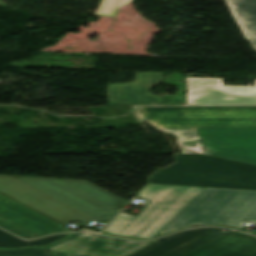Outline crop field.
Wrapping results in <instances>:
<instances>
[{
    "mask_svg": "<svg viewBox=\"0 0 256 256\" xmlns=\"http://www.w3.org/2000/svg\"><path fill=\"white\" fill-rule=\"evenodd\" d=\"M0 256H54L40 248L22 250H0Z\"/></svg>",
    "mask_w": 256,
    "mask_h": 256,
    "instance_id": "crop-field-15",
    "label": "crop field"
},
{
    "mask_svg": "<svg viewBox=\"0 0 256 256\" xmlns=\"http://www.w3.org/2000/svg\"><path fill=\"white\" fill-rule=\"evenodd\" d=\"M132 0H101L95 16L115 17L120 7Z\"/></svg>",
    "mask_w": 256,
    "mask_h": 256,
    "instance_id": "crop-field-13",
    "label": "crop field"
},
{
    "mask_svg": "<svg viewBox=\"0 0 256 256\" xmlns=\"http://www.w3.org/2000/svg\"><path fill=\"white\" fill-rule=\"evenodd\" d=\"M128 202L86 181L0 175V228L25 239L108 223Z\"/></svg>",
    "mask_w": 256,
    "mask_h": 256,
    "instance_id": "crop-field-1",
    "label": "crop field"
},
{
    "mask_svg": "<svg viewBox=\"0 0 256 256\" xmlns=\"http://www.w3.org/2000/svg\"><path fill=\"white\" fill-rule=\"evenodd\" d=\"M246 40L256 50V0H223Z\"/></svg>",
    "mask_w": 256,
    "mask_h": 256,
    "instance_id": "crop-field-10",
    "label": "crop field"
},
{
    "mask_svg": "<svg viewBox=\"0 0 256 256\" xmlns=\"http://www.w3.org/2000/svg\"><path fill=\"white\" fill-rule=\"evenodd\" d=\"M256 224V191L204 188L156 236L193 224Z\"/></svg>",
    "mask_w": 256,
    "mask_h": 256,
    "instance_id": "crop-field-3",
    "label": "crop field"
},
{
    "mask_svg": "<svg viewBox=\"0 0 256 256\" xmlns=\"http://www.w3.org/2000/svg\"><path fill=\"white\" fill-rule=\"evenodd\" d=\"M189 105H256L255 87L223 86L221 79L187 78Z\"/></svg>",
    "mask_w": 256,
    "mask_h": 256,
    "instance_id": "crop-field-8",
    "label": "crop field"
},
{
    "mask_svg": "<svg viewBox=\"0 0 256 256\" xmlns=\"http://www.w3.org/2000/svg\"><path fill=\"white\" fill-rule=\"evenodd\" d=\"M177 136L179 144L183 147L185 153H204L203 148L199 145V140L195 130H178V131H164Z\"/></svg>",
    "mask_w": 256,
    "mask_h": 256,
    "instance_id": "crop-field-12",
    "label": "crop field"
},
{
    "mask_svg": "<svg viewBox=\"0 0 256 256\" xmlns=\"http://www.w3.org/2000/svg\"><path fill=\"white\" fill-rule=\"evenodd\" d=\"M79 231H92V230H88V229H81V230H79ZM92 232H95V231H92ZM96 233H98V232H96Z\"/></svg>",
    "mask_w": 256,
    "mask_h": 256,
    "instance_id": "crop-field-16",
    "label": "crop field"
},
{
    "mask_svg": "<svg viewBox=\"0 0 256 256\" xmlns=\"http://www.w3.org/2000/svg\"><path fill=\"white\" fill-rule=\"evenodd\" d=\"M78 233L64 241L42 248L56 256H126L148 244Z\"/></svg>",
    "mask_w": 256,
    "mask_h": 256,
    "instance_id": "crop-field-7",
    "label": "crop field"
},
{
    "mask_svg": "<svg viewBox=\"0 0 256 256\" xmlns=\"http://www.w3.org/2000/svg\"><path fill=\"white\" fill-rule=\"evenodd\" d=\"M222 228H195L162 237L129 256H256V238Z\"/></svg>",
    "mask_w": 256,
    "mask_h": 256,
    "instance_id": "crop-field-4",
    "label": "crop field"
},
{
    "mask_svg": "<svg viewBox=\"0 0 256 256\" xmlns=\"http://www.w3.org/2000/svg\"><path fill=\"white\" fill-rule=\"evenodd\" d=\"M162 82V73L137 72L135 81L108 84L107 101L126 105H163L162 97L150 94L149 88Z\"/></svg>",
    "mask_w": 256,
    "mask_h": 256,
    "instance_id": "crop-field-9",
    "label": "crop field"
},
{
    "mask_svg": "<svg viewBox=\"0 0 256 256\" xmlns=\"http://www.w3.org/2000/svg\"><path fill=\"white\" fill-rule=\"evenodd\" d=\"M71 234H62L47 238H42L36 241H22L2 230H0V248H19V247H33V246H45L51 242L67 237ZM52 244V243H51Z\"/></svg>",
    "mask_w": 256,
    "mask_h": 256,
    "instance_id": "crop-field-11",
    "label": "crop field"
},
{
    "mask_svg": "<svg viewBox=\"0 0 256 256\" xmlns=\"http://www.w3.org/2000/svg\"><path fill=\"white\" fill-rule=\"evenodd\" d=\"M177 185L256 190V166L202 154H174Z\"/></svg>",
    "mask_w": 256,
    "mask_h": 256,
    "instance_id": "crop-field-6",
    "label": "crop field"
},
{
    "mask_svg": "<svg viewBox=\"0 0 256 256\" xmlns=\"http://www.w3.org/2000/svg\"><path fill=\"white\" fill-rule=\"evenodd\" d=\"M256 235V234H255Z\"/></svg>",
    "mask_w": 256,
    "mask_h": 256,
    "instance_id": "crop-field-18",
    "label": "crop field"
},
{
    "mask_svg": "<svg viewBox=\"0 0 256 256\" xmlns=\"http://www.w3.org/2000/svg\"><path fill=\"white\" fill-rule=\"evenodd\" d=\"M202 189L199 187L146 184L136 194L149 200L139 215L133 217L120 212L103 231L125 236L154 237Z\"/></svg>",
    "mask_w": 256,
    "mask_h": 256,
    "instance_id": "crop-field-5",
    "label": "crop field"
},
{
    "mask_svg": "<svg viewBox=\"0 0 256 256\" xmlns=\"http://www.w3.org/2000/svg\"><path fill=\"white\" fill-rule=\"evenodd\" d=\"M101 234H104V233H101ZM104 235H108V234H104ZM110 236H113V235H110ZM117 237V236H116ZM122 238V237H121ZM127 239H129V238H127ZM133 240H137V239H133Z\"/></svg>",
    "mask_w": 256,
    "mask_h": 256,
    "instance_id": "crop-field-17",
    "label": "crop field"
},
{
    "mask_svg": "<svg viewBox=\"0 0 256 256\" xmlns=\"http://www.w3.org/2000/svg\"><path fill=\"white\" fill-rule=\"evenodd\" d=\"M159 130L196 129L209 154L256 165V107H137Z\"/></svg>",
    "mask_w": 256,
    "mask_h": 256,
    "instance_id": "crop-field-2",
    "label": "crop field"
},
{
    "mask_svg": "<svg viewBox=\"0 0 256 256\" xmlns=\"http://www.w3.org/2000/svg\"><path fill=\"white\" fill-rule=\"evenodd\" d=\"M149 184L176 185V164L151 175Z\"/></svg>",
    "mask_w": 256,
    "mask_h": 256,
    "instance_id": "crop-field-14",
    "label": "crop field"
}]
</instances>
